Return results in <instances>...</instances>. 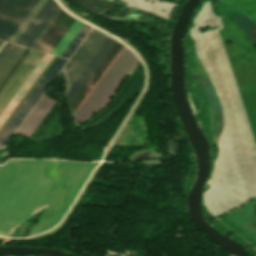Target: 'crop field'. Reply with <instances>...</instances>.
I'll return each instance as SVG.
<instances>
[{"mask_svg": "<svg viewBox=\"0 0 256 256\" xmlns=\"http://www.w3.org/2000/svg\"><path fill=\"white\" fill-rule=\"evenodd\" d=\"M12 46H13V44H10V43L6 42V44L0 50V62L3 60V58L9 52V50L12 48Z\"/></svg>", "mask_w": 256, "mask_h": 256, "instance_id": "20", "label": "crop field"}, {"mask_svg": "<svg viewBox=\"0 0 256 256\" xmlns=\"http://www.w3.org/2000/svg\"><path fill=\"white\" fill-rule=\"evenodd\" d=\"M143 82V74L136 71L132 74L129 80L120 90L115 100L96 117L88 122L85 129L97 126L106 121L112 114H114L132 95L140 91ZM113 116V115H112ZM111 116V117H112Z\"/></svg>", "mask_w": 256, "mask_h": 256, "instance_id": "6", "label": "crop field"}, {"mask_svg": "<svg viewBox=\"0 0 256 256\" xmlns=\"http://www.w3.org/2000/svg\"><path fill=\"white\" fill-rule=\"evenodd\" d=\"M43 56L44 53L32 50L21 67L9 81L7 86L1 92L0 113L3 111L8 102L11 100V98L14 96V94L17 92V90L20 88V86L23 84V82L26 80V78L29 76V74L32 72V70Z\"/></svg>", "mask_w": 256, "mask_h": 256, "instance_id": "7", "label": "crop field"}, {"mask_svg": "<svg viewBox=\"0 0 256 256\" xmlns=\"http://www.w3.org/2000/svg\"><path fill=\"white\" fill-rule=\"evenodd\" d=\"M106 39L107 36L92 28V30L89 32L87 37L84 39L82 44L79 46L77 51L62 70L67 83V91L79 77L81 72L84 70V68L87 66V64L90 62V60L93 58L95 53Z\"/></svg>", "mask_w": 256, "mask_h": 256, "instance_id": "4", "label": "crop field"}, {"mask_svg": "<svg viewBox=\"0 0 256 256\" xmlns=\"http://www.w3.org/2000/svg\"><path fill=\"white\" fill-rule=\"evenodd\" d=\"M115 42L116 41L108 37V39L99 49V51L96 53V55L88 64V66L85 68V70L82 72L80 77L71 87V89L68 91L66 97L69 104L73 100V98L76 96V94L79 92V90L82 88V86L85 84V82L88 80V78L91 76L93 71L96 69V67L99 65V63L102 61V59L105 57V55L108 53V51L111 49V47L114 45Z\"/></svg>", "mask_w": 256, "mask_h": 256, "instance_id": "10", "label": "crop field"}, {"mask_svg": "<svg viewBox=\"0 0 256 256\" xmlns=\"http://www.w3.org/2000/svg\"><path fill=\"white\" fill-rule=\"evenodd\" d=\"M82 26H83V23L75 20V22L72 24V26L64 35V37L61 39V41L52 51V54L61 56V54L64 52V50L67 48L69 43L72 41V39L75 37V35L77 34V32L80 30Z\"/></svg>", "mask_w": 256, "mask_h": 256, "instance_id": "14", "label": "crop field"}, {"mask_svg": "<svg viewBox=\"0 0 256 256\" xmlns=\"http://www.w3.org/2000/svg\"><path fill=\"white\" fill-rule=\"evenodd\" d=\"M31 52L30 51L27 53V55L24 57V59L22 60V62L25 60V58L28 56V54ZM22 62L19 64V66L22 64ZM19 66L16 68V70L13 72V74L10 76V78L7 80V82L5 83V85L2 87V89L0 90V92L3 90V88L6 86V84L8 83V81L11 79V77L14 75V73L17 71V69L19 68Z\"/></svg>", "mask_w": 256, "mask_h": 256, "instance_id": "22", "label": "crop field"}, {"mask_svg": "<svg viewBox=\"0 0 256 256\" xmlns=\"http://www.w3.org/2000/svg\"><path fill=\"white\" fill-rule=\"evenodd\" d=\"M91 27L84 24V26L81 28V30L78 32L76 37L73 39V41L70 43L68 48L65 50V52L62 54V57L69 58V56L72 54V52L75 50V48L78 46V44L81 42V40L84 38V36L87 34V32L90 30Z\"/></svg>", "mask_w": 256, "mask_h": 256, "instance_id": "15", "label": "crop field"}, {"mask_svg": "<svg viewBox=\"0 0 256 256\" xmlns=\"http://www.w3.org/2000/svg\"><path fill=\"white\" fill-rule=\"evenodd\" d=\"M137 60L134 54L124 47L75 113L74 117L77 123L91 116L110 100Z\"/></svg>", "mask_w": 256, "mask_h": 256, "instance_id": "2", "label": "crop field"}, {"mask_svg": "<svg viewBox=\"0 0 256 256\" xmlns=\"http://www.w3.org/2000/svg\"><path fill=\"white\" fill-rule=\"evenodd\" d=\"M65 13L66 12H64L62 10V12L59 14V16L56 18V20L53 22V24L48 29V31L45 33V35L42 37V39L36 45L35 49L49 52V50L52 48V46L55 44V42L58 40V38L64 32V30L67 28V26L69 24L70 25L68 26V28L71 26V24L74 22L75 19L72 18L69 14H67V13L65 14ZM63 15H64V17H63ZM60 19L69 24L61 21ZM68 28L65 30V32L68 30ZM65 32L62 34V36L65 34ZM62 36L59 38V40L56 42V44L50 50V53L54 49V47L57 45V43L60 41Z\"/></svg>", "mask_w": 256, "mask_h": 256, "instance_id": "9", "label": "crop field"}, {"mask_svg": "<svg viewBox=\"0 0 256 256\" xmlns=\"http://www.w3.org/2000/svg\"><path fill=\"white\" fill-rule=\"evenodd\" d=\"M46 0H40L38 4L35 6V8L32 10V12L29 14V16L26 18V20L23 22V24L20 26V28L17 30V32L14 34V36L11 38L10 42L15 43V41L18 39V37L21 35V33L24 31L26 26L29 24V22L32 20V18L35 16V14L38 12L40 7L43 5V3Z\"/></svg>", "mask_w": 256, "mask_h": 256, "instance_id": "16", "label": "crop field"}, {"mask_svg": "<svg viewBox=\"0 0 256 256\" xmlns=\"http://www.w3.org/2000/svg\"><path fill=\"white\" fill-rule=\"evenodd\" d=\"M62 8L59 7V9L56 11V13L53 15V17L50 19L48 24L45 26V28L42 30L40 35L37 37V39L34 41V43L31 45V48H34V46L37 44V42L40 40V38L43 36V34L46 32V30L49 28V26L52 24V22L55 20V18L58 16V14L61 12ZM48 31V30H47ZM45 35V34H44ZM42 39V38H41ZM39 43V42H38ZM36 47V46H35Z\"/></svg>", "mask_w": 256, "mask_h": 256, "instance_id": "18", "label": "crop field"}, {"mask_svg": "<svg viewBox=\"0 0 256 256\" xmlns=\"http://www.w3.org/2000/svg\"><path fill=\"white\" fill-rule=\"evenodd\" d=\"M24 50H25L24 47H20L16 45L13 46V48L10 50V52L7 54V56L4 58V60L0 64V82L5 77V75L8 73V71L11 69L13 64L16 62V60L19 58V56L22 54Z\"/></svg>", "mask_w": 256, "mask_h": 256, "instance_id": "13", "label": "crop field"}, {"mask_svg": "<svg viewBox=\"0 0 256 256\" xmlns=\"http://www.w3.org/2000/svg\"><path fill=\"white\" fill-rule=\"evenodd\" d=\"M66 61L67 60L65 59L56 57V59L23 101L21 106L0 132V147H3V145L6 143L9 137L12 135V133L15 131V129L18 127V125L21 123V121L24 119V117L27 115V113L30 111V109L33 107V105L63 67V65L66 63Z\"/></svg>", "mask_w": 256, "mask_h": 256, "instance_id": "3", "label": "crop field"}, {"mask_svg": "<svg viewBox=\"0 0 256 256\" xmlns=\"http://www.w3.org/2000/svg\"><path fill=\"white\" fill-rule=\"evenodd\" d=\"M58 7L54 0H47L16 43L30 47Z\"/></svg>", "mask_w": 256, "mask_h": 256, "instance_id": "8", "label": "crop field"}, {"mask_svg": "<svg viewBox=\"0 0 256 256\" xmlns=\"http://www.w3.org/2000/svg\"><path fill=\"white\" fill-rule=\"evenodd\" d=\"M38 0H14L0 19V39L12 37Z\"/></svg>", "mask_w": 256, "mask_h": 256, "instance_id": "5", "label": "crop field"}, {"mask_svg": "<svg viewBox=\"0 0 256 256\" xmlns=\"http://www.w3.org/2000/svg\"><path fill=\"white\" fill-rule=\"evenodd\" d=\"M29 51L28 48H26V50L23 52V54L20 56V58L17 60V62L15 63V65L12 67V69L9 71V73L6 75V77L3 79V81L0 84V89L1 87L4 85V83L6 82V80L9 78V76L12 74V72L15 70V68L17 67V65L20 63V61L23 59V57L26 55V53ZM22 62V61H21Z\"/></svg>", "mask_w": 256, "mask_h": 256, "instance_id": "19", "label": "crop field"}, {"mask_svg": "<svg viewBox=\"0 0 256 256\" xmlns=\"http://www.w3.org/2000/svg\"><path fill=\"white\" fill-rule=\"evenodd\" d=\"M55 102L43 95L17 131L29 137Z\"/></svg>", "mask_w": 256, "mask_h": 256, "instance_id": "11", "label": "crop field"}, {"mask_svg": "<svg viewBox=\"0 0 256 256\" xmlns=\"http://www.w3.org/2000/svg\"><path fill=\"white\" fill-rule=\"evenodd\" d=\"M55 59V56L50 60V62L47 64V66L44 68V70L41 72V74L38 76L36 81L33 83V85L30 87V89L27 91V93L24 95V97L21 99L19 104L16 106V108L13 110V112L10 114V116L7 118V120L4 122V124L1 126L0 131L5 126V124L8 122V120L11 118V116L14 114V112L17 110V108L20 106L22 101L25 99V97L28 95V93L31 91V89L34 87V85L37 83V81L40 79V77L43 75V73L46 71V69L49 67V65L52 63V61Z\"/></svg>", "mask_w": 256, "mask_h": 256, "instance_id": "17", "label": "crop field"}, {"mask_svg": "<svg viewBox=\"0 0 256 256\" xmlns=\"http://www.w3.org/2000/svg\"><path fill=\"white\" fill-rule=\"evenodd\" d=\"M122 46L123 45L116 42V44L107 54V56L104 58L101 64L98 66V68L89 78V80L86 82L83 88L74 98V100L71 102L70 107H71L72 113L76 109V107L79 105V103L82 101V99L85 97V95L88 93V91L91 89V87L94 85V83L97 81V79L100 77V75L103 73V71L106 69V67L109 65V63L112 61V59L115 57V55L118 53V51L121 49Z\"/></svg>", "mask_w": 256, "mask_h": 256, "instance_id": "12", "label": "crop field"}, {"mask_svg": "<svg viewBox=\"0 0 256 256\" xmlns=\"http://www.w3.org/2000/svg\"><path fill=\"white\" fill-rule=\"evenodd\" d=\"M12 1L13 0H0V17L3 15L9 5L12 3Z\"/></svg>", "mask_w": 256, "mask_h": 256, "instance_id": "21", "label": "crop field"}, {"mask_svg": "<svg viewBox=\"0 0 256 256\" xmlns=\"http://www.w3.org/2000/svg\"><path fill=\"white\" fill-rule=\"evenodd\" d=\"M60 163V160L9 159L0 166V234L10 235L21 222L42 209L51 197L50 179ZM94 165L71 161L65 172L68 182L55 209L48 216L42 213L28 235L59 222Z\"/></svg>", "mask_w": 256, "mask_h": 256, "instance_id": "1", "label": "crop field"}]
</instances>
